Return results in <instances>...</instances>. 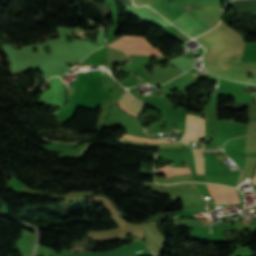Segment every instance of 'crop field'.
<instances>
[{
  "instance_id": "obj_11",
  "label": "crop field",
  "mask_w": 256,
  "mask_h": 256,
  "mask_svg": "<svg viewBox=\"0 0 256 256\" xmlns=\"http://www.w3.org/2000/svg\"><path fill=\"white\" fill-rule=\"evenodd\" d=\"M252 183H256V173L255 176L253 177Z\"/></svg>"
},
{
  "instance_id": "obj_4",
  "label": "crop field",
  "mask_w": 256,
  "mask_h": 256,
  "mask_svg": "<svg viewBox=\"0 0 256 256\" xmlns=\"http://www.w3.org/2000/svg\"><path fill=\"white\" fill-rule=\"evenodd\" d=\"M115 101L119 104L120 107L130 110L132 112H135L137 114L139 113V111L141 109V103L132 99L125 91ZM127 110H125V111H127ZM127 112H129V111H127ZM132 112H129V113H131L135 116H138L137 114L132 113Z\"/></svg>"
},
{
  "instance_id": "obj_8",
  "label": "crop field",
  "mask_w": 256,
  "mask_h": 256,
  "mask_svg": "<svg viewBox=\"0 0 256 256\" xmlns=\"http://www.w3.org/2000/svg\"><path fill=\"white\" fill-rule=\"evenodd\" d=\"M193 150V156L197 174H204V157L201 151Z\"/></svg>"
},
{
  "instance_id": "obj_6",
  "label": "crop field",
  "mask_w": 256,
  "mask_h": 256,
  "mask_svg": "<svg viewBox=\"0 0 256 256\" xmlns=\"http://www.w3.org/2000/svg\"><path fill=\"white\" fill-rule=\"evenodd\" d=\"M147 249L145 245H143L140 240L128 245V246H125V247H122V248H119L117 251L115 252H110V254H118V253H132V252H135V251H139V250H145Z\"/></svg>"
},
{
  "instance_id": "obj_1",
  "label": "crop field",
  "mask_w": 256,
  "mask_h": 256,
  "mask_svg": "<svg viewBox=\"0 0 256 256\" xmlns=\"http://www.w3.org/2000/svg\"><path fill=\"white\" fill-rule=\"evenodd\" d=\"M108 45L121 49L130 57L149 55L164 57L160 51L151 47V45L145 41L144 37L123 36Z\"/></svg>"
},
{
  "instance_id": "obj_5",
  "label": "crop field",
  "mask_w": 256,
  "mask_h": 256,
  "mask_svg": "<svg viewBox=\"0 0 256 256\" xmlns=\"http://www.w3.org/2000/svg\"><path fill=\"white\" fill-rule=\"evenodd\" d=\"M162 173H165L166 177H171L176 174H189L191 172L189 168L183 169V168H172L170 166H165L156 171V175L162 174Z\"/></svg>"
},
{
  "instance_id": "obj_3",
  "label": "crop field",
  "mask_w": 256,
  "mask_h": 256,
  "mask_svg": "<svg viewBox=\"0 0 256 256\" xmlns=\"http://www.w3.org/2000/svg\"><path fill=\"white\" fill-rule=\"evenodd\" d=\"M207 186L216 205L240 202L237 191L234 189L221 186Z\"/></svg>"
},
{
  "instance_id": "obj_2",
  "label": "crop field",
  "mask_w": 256,
  "mask_h": 256,
  "mask_svg": "<svg viewBox=\"0 0 256 256\" xmlns=\"http://www.w3.org/2000/svg\"><path fill=\"white\" fill-rule=\"evenodd\" d=\"M204 135L205 120L200 117L188 114L186 121V131L183 138L180 141L188 145L191 141L195 142L196 139L204 137ZM198 141H200V139L196 140V142Z\"/></svg>"
},
{
  "instance_id": "obj_10",
  "label": "crop field",
  "mask_w": 256,
  "mask_h": 256,
  "mask_svg": "<svg viewBox=\"0 0 256 256\" xmlns=\"http://www.w3.org/2000/svg\"><path fill=\"white\" fill-rule=\"evenodd\" d=\"M134 73L140 76L143 79V81L149 83L151 75H149L147 72L136 70Z\"/></svg>"
},
{
  "instance_id": "obj_12",
  "label": "crop field",
  "mask_w": 256,
  "mask_h": 256,
  "mask_svg": "<svg viewBox=\"0 0 256 256\" xmlns=\"http://www.w3.org/2000/svg\"><path fill=\"white\" fill-rule=\"evenodd\" d=\"M193 74H195V73H193ZM195 75H197V74H195Z\"/></svg>"
},
{
  "instance_id": "obj_9",
  "label": "crop field",
  "mask_w": 256,
  "mask_h": 256,
  "mask_svg": "<svg viewBox=\"0 0 256 256\" xmlns=\"http://www.w3.org/2000/svg\"><path fill=\"white\" fill-rule=\"evenodd\" d=\"M123 137L127 138V139H131V140L139 141V142L176 143V142H167V141H163V140H149V139L140 138V137H132V136H129V135H124Z\"/></svg>"
},
{
  "instance_id": "obj_7",
  "label": "crop field",
  "mask_w": 256,
  "mask_h": 256,
  "mask_svg": "<svg viewBox=\"0 0 256 256\" xmlns=\"http://www.w3.org/2000/svg\"><path fill=\"white\" fill-rule=\"evenodd\" d=\"M169 63H171L172 65L177 67L182 72H185L196 62H194L188 58H177Z\"/></svg>"
}]
</instances>
